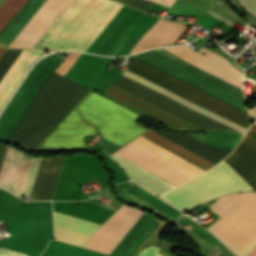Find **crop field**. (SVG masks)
<instances>
[{"label": "crop field", "instance_id": "8a807250", "mask_svg": "<svg viewBox=\"0 0 256 256\" xmlns=\"http://www.w3.org/2000/svg\"><path fill=\"white\" fill-rule=\"evenodd\" d=\"M168 51L178 55L182 59L192 63L193 65L217 76L227 80L228 82L241 87V78L243 74L228 63L224 58L204 49L199 50L206 55L195 53L191 51L187 45L168 47ZM164 48L146 51L143 54L136 55V58L145 61L160 70L248 113L243 103L242 87H236L220 78L214 77L197 67L185 62L181 58L169 53ZM135 59L132 57L126 70L135 73L231 122H234L247 129L250 122L249 113L246 114L162 71L159 69ZM128 71H124L122 75L139 82L217 122L229 126L230 128L246 132V129L231 123L213 113H210L193 103L135 75ZM120 75L119 78L112 84V86L128 92L130 95L137 97L165 112L189 122L197 126L201 130L210 129H227L229 127L220 123L212 121L181 104L139 84L124 76ZM108 87L104 93L176 128V129H198L192 125L176 119L167 113L158 110L137 98L131 97L127 93L120 90ZM199 129V130H200ZM233 131V130H231Z\"/></svg>", "mask_w": 256, "mask_h": 256}, {"label": "crop field", "instance_id": "ac0d7876", "mask_svg": "<svg viewBox=\"0 0 256 256\" xmlns=\"http://www.w3.org/2000/svg\"><path fill=\"white\" fill-rule=\"evenodd\" d=\"M61 61L62 58L54 53L33 68L0 117L1 138L8 140L42 85ZM88 92L53 72L9 140L33 151Z\"/></svg>", "mask_w": 256, "mask_h": 256}, {"label": "crop field", "instance_id": "34b2d1b8", "mask_svg": "<svg viewBox=\"0 0 256 256\" xmlns=\"http://www.w3.org/2000/svg\"><path fill=\"white\" fill-rule=\"evenodd\" d=\"M150 130L213 164L225 158V156L232 151L231 149L201 143L190 137L189 135L185 134L184 132H159L154 129ZM150 130H148L141 136L177 154L181 158L199 166L204 171L213 166V164L158 136ZM141 136L134 139L128 144L134 146L135 148L141 150L142 152L185 174L190 178H193L196 175L204 172L200 168L182 160L173 153L158 147L154 143L144 139ZM142 152L127 145L116 151L115 153L141 166L142 168L150 171L151 173L157 175L158 177L166 180L167 182L175 186L189 180L188 177L176 172L175 170L169 168L168 166L160 163L159 161L149 157ZM116 154L113 153L111 157L125 169L126 173L130 176L131 181L148 190L152 194L160 196L174 188V186L167 183L166 181L145 171L141 167L124 160Z\"/></svg>", "mask_w": 256, "mask_h": 256}, {"label": "crop field", "instance_id": "412701ff", "mask_svg": "<svg viewBox=\"0 0 256 256\" xmlns=\"http://www.w3.org/2000/svg\"><path fill=\"white\" fill-rule=\"evenodd\" d=\"M254 190H256V128L252 126L237 146L224 159ZM211 170L169 191L160 199L184 211L218 196L253 190L225 161Z\"/></svg>", "mask_w": 256, "mask_h": 256}, {"label": "crop field", "instance_id": "f4fd0767", "mask_svg": "<svg viewBox=\"0 0 256 256\" xmlns=\"http://www.w3.org/2000/svg\"><path fill=\"white\" fill-rule=\"evenodd\" d=\"M121 6L110 0H75L55 20L35 48L85 51Z\"/></svg>", "mask_w": 256, "mask_h": 256}, {"label": "crop field", "instance_id": "dd49c442", "mask_svg": "<svg viewBox=\"0 0 256 256\" xmlns=\"http://www.w3.org/2000/svg\"><path fill=\"white\" fill-rule=\"evenodd\" d=\"M6 149L7 146L0 163V171ZM15 151L16 150L11 147L7 149L0 174L1 188L4 187ZM64 158L65 157L30 158L16 151L4 188L15 195L28 196L41 159L29 197H31L30 200H51L60 176Z\"/></svg>", "mask_w": 256, "mask_h": 256}, {"label": "crop field", "instance_id": "e52e79f7", "mask_svg": "<svg viewBox=\"0 0 256 256\" xmlns=\"http://www.w3.org/2000/svg\"><path fill=\"white\" fill-rule=\"evenodd\" d=\"M210 207L220 218L208 230L238 256L256 246V192L228 194Z\"/></svg>", "mask_w": 256, "mask_h": 256}, {"label": "crop field", "instance_id": "d8731c3e", "mask_svg": "<svg viewBox=\"0 0 256 256\" xmlns=\"http://www.w3.org/2000/svg\"><path fill=\"white\" fill-rule=\"evenodd\" d=\"M76 108L102 137L120 146L148 129L134 122L140 114L93 91Z\"/></svg>", "mask_w": 256, "mask_h": 256}, {"label": "crop field", "instance_id": "5a996713", "mask_svg": "<svg viewBox=\"0 0 256 256\" xmlns=\"http://www.w3.org/2000/svg\"><path fill=\"white\" fill-rule=\"evenodd\" d=\"M95 133L74 108L34 151L85 149V136Z\"/></svg>", "mask_w": 256, "mask_h": 256}, {"label": "crop field", "instance_id": "3316defc", "mask_svg": "<svg viewBox=\"0 0 256 256\" xmlns=\"http://www.w3.org/2000/svg\"><path fill=\"white\" fill-rule=\"evenodd\" d=\"M142 212L123 205L84 244V248L111 253Z\"/></svg>", "mask_w": 256, "mask_h": 256}, {"label": "crop field", "instance_id": "28ad6ade", "mask_svg": "<svg viewBox=\"0 0 256 256\" xmlns=\"http://www.w3.org/2000/svg\"><path fill=\"white\" fill-rule=\"evenodd\" d=\"M22 50L7 49L0 58V81L9 70ZM43 52L35 50H23L10 70L0 82V110L11 96L30 64L41 57Z\"/></svg>", "mask_w": 256, "mask_h": 256}, {"label": "crop field", "instance_id": "d1516ede", "mask_svg": "<svg viewBox=\"0 0 256 256\" xmlns=\"http://www.w3.org/2000/svg\"><path fill=\"white\" fill-rule=\"evenodd\" d=\"M71 1L47 0L8 47L32 49L45 29Z\"/></svg>", "mask_w": 256, "mask_h": 256}, {"label": "crop field", "instance_id": "22f410ed", "mask_svg": "<svg viewBox=\"0 0 256 256\" xmlns=\"http://www.w3.org/2000/svg\"><path fill=\"white\" fill-rule=\"evenodd\" d=\"M54 212V240L82 247L93 232L100 226V224Z\"/></svg>", "mask_w": 256, "mask_h": 256}, {"label": "crop field", "instance_id": "cbeb9de0", "mask_svg": "<svg viewBox=\"0 0 256 256\" xmlns=\"http://www.w3.org/2000/svg\"><path fill=\"white\" fill-rule=\"evenodd\" d=\"M187 25L158 20L134 45L129 54L156 46L174 44Z\"/></svg>", "mask_w": 256, "mask_h": 256}, {"label": "crop field", "instance_id": "5142ce71", "mask_svg": "<svg viewBox=\"0 0 256 256\" xmlns=\"http://www.w3.org/2000/svg\"><path fill=\"white\" fill-rule=\"evenodd\" d=\"M158 220L147 216L145 214L137 221V223L132 227V229L127 233V235L122 239L118 246L113 250V252L108 256H131L142 241L146 238L149 232L157 224ZM161 221L154 227L147 238L139 246L132 256H135L140 248L148 241L157 227L160 225Z\"/></svg>", "mask_w": 256, "mask_h": 256}, {"label": "crop field", "instance_id": "d9b57169", "mask_svg": "<svg viewBox=\"0 0 256 256\" xmlns=\"http://www.w3.org/2000/svg\"><path fill=\"white\" fill-rule=\"evenodd\" d=\"M45 0H28L0 35V46L7 47Z\"/></svg>", "mask_w": 256, "mask_h": 256}, {"label": "crop field", "instance_id": "733c2abd", "mask_svg": "<svg viewBox=\"0 0 256 256\" xmlns=\"http://www.w3.org/2000/svg\"><path fill=\"white\" fill-rule=\"evenodd\" d=\"M122 191L133 196L134 198L138 199L139 201L150 206L151 208L155 209L156 211L160 212L161 214L167 216L172 220H175L183 216V214L177 211L176 209L172 208L165 202L161 201L157 197L153 196L152 194L146 192L145 190L141 189L140 187L134 184L130 183Z\"/></svg>", "mask_w": 256, "mask_h": 256}, {"label": "crop field", "instance_id": "4a817a6b", "mask_svg": "<svg viewBox=\"0 0 256 256\" xmlns=\"http://www.w3.org/2000/svg\"><path fill=\"white\" fill-rule=\"evenodd\" d=\"M182 226L187 228L193 234H195L198 238H200L204 243H206L212 250H214L218 255L222 253L227 248L221 244L214 236H212L207 230H205L198 223L194 222L187 216H184L178 220H176Z\"/></svg>", "mask_w": 256, "mask_h": 256}, {"label": "crop field", "instance_id": "bc2a9ffb", "mask_svg": "<svg viewBox=\"0 0 256 256\" xmlns=\"http://www.w3.org/2000/svg\"><path fill=\"white\" fill-rule=\"evenodd\" d=\"M244 134L214 130L206 133L202 142L234 149Z\"/></svg>", "mask_w": 256, "mask_h": 256}, {"label": "crop field", "instance_id": "214f88e0", "mask_svg": "<svg viewBox=\"0 0 256 256\" xmlns=\"http://www.w3.org/2000/svg\"><path fill=\"white\" fill-rule=\"evenodd\" d=\"M27 0L0 1V30ZM21 9V8H20ZM13 18V17H12Z\"/></svg>", "mask_w": 256, "mask_h": 256}, {"label": "crop field", "instance_id": "92a150f3", "mask_svg": "<svg viewBox=\"0 0 256 256\" xmlns=\"http://www.w3.org/2000/svg\"><path fill=\"white\" fill-rule=\"evenodd\" d=\"M80 54L69 53L67 58L63 61V63L56 70L61 74H65V72L70 68V66L75 62V60L79 57Z\"/></svg>", "mask_w": 256, "mask_h": 256}, {"label": "crop field", "instance_id": "dafd665d", "mask_svg": "<svg viewBox=\"0 0 256 256\" xmlns=\"http://www.w3.org/2000/svg\"><path fill=\"white\" fill-rule=\"evenodd\" d=\"M159 250L160 249L150 245V246L144 248L143 250H141L138 256H158V255H160V256H171L170 254H168V253H166L162 250L160 252H158ZM156 252H158L157 253L158 255L155 254Z\"/></svg>", "mask_w": 256, "mask_h": 256}, {"label": "crop field", "instance_id": "00972430", "mask_svg": "<svg viewBox=\"0 0 256 256\" xmlns=\"http://www.w3.org/2000/svg\"><path fill=\"white\" fill-rule=\"evenodd\" d=\"M241 7L245 9L246 12L256 17V0H240Z\"/></svg>", "mask_w": 256, "mask_h": 256}, {"label": "crop field", "instance_id": "a9b5d70f", "mask_svg": "<svg viewBox=\"0 0 256 256\" xmlns=\"http://www.w3.org/2000/svg\"><path fill=\"white\" fill-rule=\"evenodd\" d=\"M181 1L194 4L206 12L208 8L214 3L215 0H181Z\"/></svg>", "mask_w": 256, "mask_h": 256}, {"label": "crop field", "instance_id": "4177f3b9", "mask_svg": "<svg viewBox=\"0 0 256 256\" xmlns=\"http://www.w3.org/2000/svg\"><path fill=\"white\" fill-rule=\"evenodd\" d=\"M115 1L129 5V4H130L132 1H134V0H115ZM150 1H153V2H156V3H159V4H162V5H165V6L170 7V5H171L175 0H150Z\"/></svg>", "mask_w": 256, "mask_h": 256}, {"label": "crop field", "instance_id": "730fd06b", "mask_svg": "<svg viewBox=\"0 0 256 256\" xmlns=\"http://www.w3.org/2000/svg\"><path fill=\"white\" fill-rule=\"evenodd\" d=\"M0 256H25V255L7 251V250H0Z\"/></svg>", "mask_w": 256, "mask_h": 256}, {"label": "crop field", "instance_id": "eef30255", "mask_svg": "<svg viewBox=\"0 0 256 256\" xmlns=\"http://www.w3.org/2000/svg\"><path fill=\"white\" fill-rule=\"evenodd\" d=\"M250 115H251V119H255L256 118V105L253 109H248Z\"/></svg>", "mask_w": 256, "mask_h": 256}, {"label": "crop field", "instance_id": "ae1a2a85", "mask_svg": "<svg viewBox=\"0 0 256 256\" xmlns=\"http://www.w3.org/2000/svg\"><path fill=\"white\" fill-rule=\"evenodd\" d=\"M246 256H256V247Z\"/></svg>", "mask_w": 256, "mask_h": 256}, {"label": "crop field", "instance_id": "d3111659", "mask_svg": "<svg viewBox=\"0 0 256 256\" xmlns=\"http://www.w3.org/2000/svg\"><path fill=\"white\" fill-rule=\"evenodd\" d=\"M3 50H4L3 48H0V55H1V53L3 52Z\"/></svg>", "mask_w": 256, "mask_h": 256}, {"label": "crop field", "instance_id": "750c4746", "mask_svg": "<svg viewBox=\"0 0 256 256\" xmlns=\"http://www.w3.org/2000/svg\"><path fill=\"white\" fill-rule=\"evenodd\" d=\"M253 43L256 45V39L253 41Z\"/></svg>", "mask_w": 256, "mask_h": 256}, {"label": "crop field", "instance_id": "bd1437ed", "mask_svg": "<svg viewBox=\"0 0 256 256\" xmlns=\"http://www.w3.org/2000/svg\"><path fill=\"white\" fill-rule=\"evenodd\" d=\"M254 123H256V121Z\"/></svg>", "mask_w": 256, "mask_h": 256}]
</instances>
